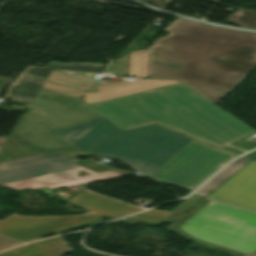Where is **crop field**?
<instances>
[{"instance_id": "18", "label": "crop field", "mask_w": 256, "mask_h": 256, "mask_svg": "<svg viewBox=\"0 0 256 256\" xmlns=\"http://www.w3.org/2000/svg\"><path fill=\"white\" fill-rule=\"evenodd\" d=\"M227 20L240 27L256 30V11L238 8Z\"/></svg>"}, {"instance_id": "13", "label": "crop field", "mask_w": 256, "mask_h": 256, "mask_svg": "<svg viewBox=\"0 0 256 256\" xmlns=\"http://www.w3.org/2000/svg\"><path fill=\"white\" fill-rule=\"evenodd\" d=\"M45 81V78L24 73L20 79L12 85L7 98L30 104Z\"/></svg>"}, {"instance_id": "7", "label": "crop field", "mask_w": 256, "mask_h": 256, "mask_svg": "<svg viewBox=\"0 0 256 256\" xmlns=\"http://www.w3.org/2000/svg\"><path fill=\"white\" fill-rule=\"evenodd\" d=\"M234 157L193 140L150 178L193 191Z\"/></svg>"}, {"instance_id": "1", "label": "crop field", "mask_w": 256, "mask_h": 256, "mask_svg": "<svg viewBox=\"0 0 256 256\" xmlns=\"http://www.w3.org/2000/svg\"><path fill=\"white\" fill-rule=\"evenodd\" d=\"M148 48V77L177 79L220 102L256 67V33L177 18Z\"/></svg>"}, {"instance_id": "4", "label": "crop field", "mask_w": 256, "mask_h": 256, "mask_svg": "<svg viewBox=\"0 0 256 256\" xmlns=\"http://www.w3.org/2000/svg\"><path fill=\"white\" fill-rule=\"evenodd\" d=\"M198 244L237 256H256V213L202 200L169 227Z\"/></svg>"}, {"instance_id": "22", "label": "crop field", "mask_w": 256, "mask_h": 256, "mask_svg": "<svg viewBox=\"0 0 256 256\" xmlns=\"http://www.w3.org/2000/svg\"><path fill=\"white\" fill-rule=\"evenodd\" d=\"M51 151L59 153V154L67 155L70 157H74V158H80V157L92 155V154H87L85 152L79 151V150L73 148L72 146L55 149V150H51Z\"/></svg>"}, {"instance_id": "5", "label": "crop field", "mask_w": 256, "mask_h": 256, "mask_svg": "<svg viewBox=\"0 0 256 256\" xmlns=\"http://www.w3.org/2000/svg\"><path fill=\"white\" fill-rule=\"evenodd\" d=\"M28 147L4 144L0 149V184L12 188L49 187L58 189L102 178L118 176L111 172L96 174L77 165V159L52 152L43 153L12 131L10 134ZM81 170L93 175L78 178Z\"/></svg>"}, {"instance_id": "2", "label": "crop field", "mask_w": 256, "mask_h": 256, "mask_svg": "<svg viewBox=\"0 0 256 256\" xmlns=\"http://www.w3.org/2000/svg\"><path fill=\"white\" fill-rule=\"evenodd\" d=\"M124 130L157 123L222 150L256 131L181 83L91 103Z\"/></svg>"}, {"instance_id": "14", "label": "crop field", "mask_w": 256, "mask_h": 256, "mask_svg": "<svg viewBox=\"0 0 256 256\" xmlns=\"http://www.w3.org/2000/svg\"><path fill=\"white\" fill-rule=\"evenodd\" d=\"M106 65L93 64V63H72L64 64L61 62L51 61L45 67H30L26 73H30L36 76L48 78L54 69L66 70V71H78V72H92L101 73Z\"/></svg>"}, {"instance_id": "20", "label": "crop field", "mask_w": 256, "mask_h": 256, "mask_svg": "<svg viewBox=\"0 0 256 256\" xmlns=\"http://www.w3.org/2000/svg\"><path fill=\"white\" fill-rule=\"evenodd\" d=\"M168 211L156 210L151 209L141 214L130 216V218H137V219H144V220H151V221H158L162 222L163 219L168 215Z\"/></svg>"}, {"instance_id": "11", "label": "crop field", "mask_w": 256, "mask_h": 256, "mask_svg": "<svg viewBox=\"0 0 256 256\" xmlns=\"http://www.w3.org/2000/svg\"><path fill=\"white\" fill-rule=\"evenodd\" d=\"M63 242L57 236L13 248L0 256H65L72 248Z\"/></svg>"}, {"instance_id": "8", "label": "crop field", "mask_w": 256, "mask_h": 256, "mask_svg": "<svg viewBox=\"0 0 256 256\" xmlns=\"http://www.w3.org/2000/svg\"><path fill=\"white\" fill-rule=\"evenodd\" d=\"M100 217L95 213L66 217H22L13 214L0 221V235L20 240L24 243L50 235L62 228L79 225Z\"/></svg>"}, {"instance_id": "23", "label": "crop field", "mask_w": 256, "mask_h": 256, "mask_svg": "<svg viewBox=\"0 0 256 256\" xmlns=\"http://www.w3.org/2000/svg\"><path fill=\"white\" fill-rule=\"evenodd\" d=\"M101 222H102V218H101V219L94 220V221H91V222H88V223H85V224H82V225H79V226H75V227H71V228L62 229V230H60V231H58V232H56V233H57V234H60V233L72 231V230H75V229H78V228H82V227H86V226L98 224V223H101Z\"/></svg>"}, {"instance_id": "21", "label": "crop field", "mask_w": 256, "mask_h": 256, "mask_svg": "<svg viewBox=\"0 0 256 256\" xmlns=\"http://www.w3.org/2000/svg\"><path fill=\"white\" fill-rule=\"evenodd\" d=\"M42 88L60 92V93H64V94H68V95H72V96H76V97H80V98H82L85 95V92L73 90L70 88L62 87V86L47 83V82L44 84V86Z\"/></svg>"}, {"instance_id": "19", "label": "crop field", "mask_w": 256, "mask_h": 256, "mask_svg": "<svg viewBox=\"0 0 256 256\" xmlns=\"http://www.w3.org/2000/svg\"><path fill=\"white\" fill-rule=\"evenodd\" d=\"M202 199H204V198H202L194 193L188 199H186L184 202H182L179 206H177L174 210H172L169 213V215L164 219L163 222L173 223L178 217H180L188 209H190L193 205L197 204Z\"/></svg>"}, {"instance_id": "12", "label": "crop field", "mask_w": 256, "mask_h": 256, "mask_svg": "<svg viewBox=\"0 0 256 256\" xmlns=\"http://www.w3.org/2000/svg\"><path fill=\"white\" fill-rule=\"evenodd\" d=\"M106 72L114 75L147 76V49L131 52L121 59L115 60ZM105 72V73H106Z\"/></svg>"}, {"instance_id": "6", "label": "crop field", "mask_w": 256, "mask_h": 256, "mask_svg": "<svg viewBox=\"0 0 256 256\" xmlns=\"http://www.w3.org/2000/svg\"><path fill=\"white\" fill-rule=\"evenodd\" d=\"M13 131L41 151L69 146L53 133L102 117L79 98L41 89Z\"/></svg>"}, {"instance_id": "3", "label": "crop field", "mask_w": 256, "mask_h": 256, "mask_svg": "<svg viewBox=\"0 0 256 256\" xmlns=\"http://www.w3.org/2000/svg\"><path fill=\"white\" fill-rule=\"evenodd\" d=\"M190 141L157 125L125 132L105 118L73 146L125 161L149 177Z\"/></svg>"}, {"instance_id": "9", "label": "crop field", "mask_w": 256, "mask_h": 256, "mask_svg": "<svg viewBox=\"0 0 256 256\" xmlns=\"http://www.w3.org/2000/svg\"><path fill=\"white\" fill-rule=\"evenodd\" d=\"M207 198L256 211V161L249 162Z\"/></svg>"}, {"instance_id": "17", "label": "crop field", "mask_w": 256, "mask_h": 256, "mask_svg": "<svg viewBox=\"0 0 256 256\" xmlns=\"http://www.w3.org/2000/svg\"><path fill=\"white\" fill-rule=\"evenodd\" d=\"M105 117L96 119L94 121L75 126L63 131L56 132L59 136L63 139L68 141L70 144H74L77 142L81 137H83L87 132H89L93 127H95L101 120Z\"/></svg>"}, {"instance_id": "10", "label": "crop field", "mask_w": 256, "mask_h": 256, "mask_svg": "<svg viewBox=\"0 0 256 256\" xmlns=\"http://www.w3.org/2000/svg\"><path fill=\"white\" fill-rule=\"evenodd\" d=\"M69 201L80 204L89 211L113 218L143 210L92 193L80 192Z\"/></svg>"}, {"instance_id": "27", "label": "crop field", "mask_w": 256, "mask_h": 256, "mask_svg": "<svg viewBox=\"0 0 256 256\" xmlns=\"http://www.w3.org/2000/svg\"><path fill=\"white\" fill-rule=\"evenodd\" d=\"M209 1H213V2H216L217 0H209Z\"/></svg>"}, {"instance_id": "26", "label": "crop field", "mask_w": 256, "mask_h": 256, "mask_svg": "<svg viewBox=\"0 0 256 256\" xmlns=\"http://www.w3.org/2000/svg\"><path fill=\"white\" fill-rule=\"evenodd\" d=\"M244 156L250 157V158H253V159L256 160V150L253 151V152H251V153H248V154H246V155H244Z\"/></svg>"}, {"instance_id": "25", "label": "crop field", "mask_w": 256, "mask_h": 256, "mask_svg": "<svg viewBox=\"0 0 256 256\" xmlns=\"http://www.w3.org/2000/svg\"><path fill=\"white\" fill-rule=\"evenodd\" d=\"M119 221L127 222V223L134 224V225H137L139 223L148 224V225L160 224L158 222H151V221H144V220H137V219H130V218H125V219H122Z\"/></svg>"}, {"instance_id": "16", "label": "crop field", "mask_w": 256, "mask_h": 256, "mask_svg": "<svg viewBox=\"0 0 256 256\" xmlns=\"http://www.w3.org/2000/svg\"><path fill=\"white\" fill-rule=\"evenodd\" d=\"M48 81L88 91L92 83L94 82V79L81 75H78V77H76L72 75L67 76L52 72V74L48 78Z\"/></svg>"}, {"instance_id": "24", "label": "crop field", "mask_w": 256, "mask_h": 256, "mask_svg": "<svg viewBox=\"0 0 256 256\" xmlns=\"http://www.w3.org/2000/svg\"><path fill=\"white\" fill-rule=\"evenodd\" d=\"M18 244H22V243L0 237V250L6 249Z\"/></svg>"}, {"instance_id": "15", "label": "crop field", "mask_w": 256, "mask_h": 256, "mask_svg": "<svg viewBox=\"0 0 256 256\" xmlns=\"http://www.w3.org/2000/svg\"><path fill=\"white\" fill-rule=\"evenodd\" d=\"M249 160L246 157H241L233 161L196 192L205 197Z\"/></svg>"}]
</instances>
